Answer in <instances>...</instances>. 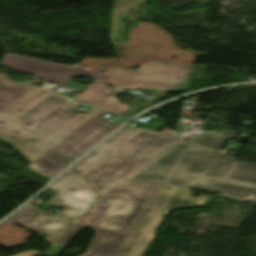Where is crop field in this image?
<instances>
[{
  "label": "crop field",
  "mask_w": 256,
  "mask_h": 256,
  "mask_svg": "<svg viewBox=\"0 0 256 256\" xmlns=\"http://www.w3.org/2000/svg\"><path fill=\"white\" fill-rule=\"evenodd\" d=\"M0 65L14 68L60 85L67 82L78 67L77 64L69 66L9 53H6Z\"/></svg>",
  "instance_id": "obj_10"
},
{
  "label": "crop field",
  "mask_w": 256,
  "mask_h": 256,
  "mask_svg": "<svg viewBox=\"0 0 256 256\" xmlns=\"http://www.w3.org/2000/svg\"><path fill=\"white\" fill-rule=\"evenodd\" d=\"M191 67V64L167 65L154 61L141 66L138 71L114 68L98 81L130 90L145 88L169 91L190 75Z\"/></svg>",
  "instance_id": "obj_7"
},
{
  "label": "crop field",
  "mask_w": 256,
  "mask_h": 256,
  "mask_svg": "<svg viewBox=\"0 0 256 256\" xmlns=\"http://www.w3.org/2000/svg\"><path fill=\"white\" fill-rule=\"evenodd\" d=\"M172 138L128 126L74 164L72 169L83 176L110 154L147 164L170 147Z\"/></svg>",
  "instance_id": "obj_4"
},
{
  "label": "crop field",
  "mask_w": 256,
  "mask_h": 256,
  "mask_svg": "<svg viewBox=\"0 0 256 256\" xmlns=\"http://www.w3.org/2000/svg\"><path fill=\"white\" fill-rule=\"evenodd\" d=\"M104 115L99 111L50 150L71 163L119 126L102 118Z\"/></svg>",
  "instance_id": "obj_8"
},
{
  "label": "crop field",
  "mask_w": 256,
  "mask_h": 256,
  "mask_svg": "<svg viewBox=\"0 0 256 256\" xmlns=\"http://www.w3.org/2000/svg\"><path fill=\"white\" fill-rule=\"evenodd\" d=\"M118 95L106 84L96 82L75 97V100L120 116L129 107L118 102L116 98Z\"/></svg>",
  "instance_id": "obj_12"
},
{
  "label": "crop field",
  "mask_w": 256,
  "mask_h": 256,
  "mask_svg": "<svg viewBox=\"0 0 256 256\" xmlns=\"http://www.w3.org/2000/svg\"><path fill=\"white\" fill-rule=\"evenodd\" d=\"M74 196H77V195L74 194ZM77 197H79V196H77Z\"/></svg>",
  "instance_id": "obj_19"
},
{
  "label": "crop field",
  "mask_w": 256,
  "mask_h": 256,
  "mask_svg": "<svg viewBox=\"0 0 256 256\" xmlns=\"http://www.w3.org/2000/svg\"><path fill=\"white\" fill-rule=\"evenodd\" d=\"M47 188L59 193L46 202V204L63 208L65 209L63 212L55 216L42 212L32 206H26L5 221L49 235L64 229L71 219L86 212L90 205L96 201L97 197L90 184L70 169L61 174ZM74 193L83 198L72 196Z\"/></svg>",
  "instance_id": "obj_3"
},
{
  "label": "crop field",
  "mask_w": 256,
  "mask_h": 256,
  "mask_svg": "<svg viewBox=\"0 0 256 256\" xmlns=\"http://www.w3.org/2000/svg\"><path fill=\"white\" fill-rule=\"evenodd\" d=\"M161 184L126 180L104 196L83 218L66 232L58 233L48 242L55 246L44 256H56L84 227L97 232L88 253L81 256H115L141 218Z\"/></svg>",
  "instance_id": "obj_2"
},
{
  "label": "crop field",
  "mask_w": 256,
  "mask_h": 256,
  "mask_svg": "<svg viewBox=\"0 0 256 256\" xmlns=\"http://www.w3.org/2000/svg\"><path fill=\"white\" fill-rule=\"evenodd\" d=\"M8 78L0 73V115L37 88L34 85L12 81Z\"/></svg>",
  "instance_id": "obj_13"
},
{
  "label": "crop field",
  "mask_w": 256,
  "mask_h": 256,
  "mask_svg": "<svg viewBox=\"0 0 256 256\" xmlns=\"http://www.w3.org/2000/svg\"><path fill=\"white\" fill-rule=\"evenodd\" d=\"M52 91H49L44 88H37L5 113H3L0 117L9 119L10 121L16 120L20 117L23 113L49 95Z\"/></svg>",
  "instance_id": "obj_14"
},
{
  "label": "crop field",
  "mask_w": 256,
  "mask_h": 256,
  "mask_svg": "<svg viewBox=\"0 0 256 256\" xmlns=\"http://www.w3.org/2000/svg\"><path fill=\"white\" fill-rule=\"evenodd\" d=\"M236 131H201L173 148L130 179L212 190L238 199L256 195V164L235 161L220 151Z\"/></svg>",
  "instance_id": "obj_1"
},
{
  "label": "crop field",
  "mask_w": 256,
  "mask_h": 256,
  "mask_svg": "<svg viewBox=\"0 0 256 256\" xmlns=\"http://www.w3.org/2000/svg\"><path fill=\"white\" fill-rule=\"evenodd\" d=\"M144 165L110 155L83 177L89 180L98 195L102 196L113 186L129 177Z\"/></svg>",
  "instance_id": "obj_9"
},
{
  "label": "crop field",
  "mask_w": 256,
  "mask_h": 256,
  "mask_svg": "<svg viewBox=\"0 0 256 256\" xmlns=\"http://www.w3.org/2000/svg\"><path fill=\"white\" fill-rule=\"evenodd\" d=\"M79 105L53 92L13 123L42 136L44 148L49 150L98 112L94 108L83 116L69 112Z\"/></svg>",
  "instance_id": "obj_5"
},
{
  "label": "crop field",
  "mask_w": 256,
  "mask_h": 256,
  "mask_svg": "<svg viewBox=\"0 0 256 256\" xmlns=\"http://www.w3.org/2000/svg\"><path fill=\"white\" fill-rule=\"evenodd\" d=\"M102 75H104V73L95 71L93 69H90L81 65H79L78 69L73 74V76H83V77H87L95 80L100 78Z\"/></svg>",
  "instance_id": "obj_16"
},
{
  "label": "crop field",
  "mask_w": 256,
  "mask_h": 256,
  "mask_svg": "<svg viewBox=\"0 0 256 256\" xmlns=\"http://www.w3.org/2000/svg\"><path fill=\"white\" fill-rule=\"evenodd\" d=\"M32 169V168H31ZM33 170V169H32ZM34 171V170H33Z\"/></svg>",
  "instance_id": "obj_20"
},
{
  "label": "crop field",
  "mask_w": 256,
  "mask_h": 256,
  "mask_svg": "<svg viewBox=\"0 0 256 256\" xmlns=\"http://www.w3.org/2000/svg\"><path fill=\"white\" fill-rule=\"evenodd\" d=\"M0 140L10 144L29 163L45 153L38 136L28 134L2 118H0Z\"/></svg>",
  "instance_id": "obj_11"
},
{
  "label": "crop field",
  "mask_w": 256,
  "mask_h": 256,
  "mask_svg": "<svg viewBox=\"0 0 256 256\" xmlns=\"http://www.w3.org/2000/svg\"><path fill=\"white\" fill-rule=\"evenodd\" d=\"M66 166L63 159L56 157L51 152H47L30 165L36 172L50 179Z\"/></svg>",
  "instance_id": "obj_15"
},
{
  "label": "crop field",
  "mask_w": 256,
  "mask_h": 256,
  "mask_svg": "<svg viewBox=\"0 0 256 256\" xmlns=\"http://www.w3.org/2000/svg\"><path fill=\"white\" fill-rule=\"evenodd\" d=\"M31 254H37V252L31 251V252L23 253V254L16 255V256H29V255H31Z\"/></svg>",
  "instance_id": "obj_18"
},
{
  "label": "crop field",
  "mask_w": 256,
  "mask_h": 256,
  "mask_svg": "<svg viewBox=\"0 0 256 256\" xmlns=\"http://www.w3.org/2000/svg\"><path fill=\"white\" fill-rule=\"evenodd\" d=\"M63 87H66V88H69V89H73V90H76V91H80V90H82L83 88H85L87 86L80 85V84H77V83H74V82L70 81L69 83H67Z\"/></svg>",
  "instance_id": "obj_17"
},
{
  "label": "crop field",
  "mask_w": 256,
  "mask_h": 256,
  "mask_svg": "<svg viewBox=\"0 0 256 256\" xmlns=\"http://www.w3.org/2000/svg\"><path fill=\"white\" fill-rule=\"evenodd\" d=\"M162 184L137 226L125 241L116 256H143L151 244L164 215L174 209L206 206L212 196L191 199L189 189ZM183 192H186L184 194ZM176 193V196L173 195Z\"/></svg>",
  "instance_id": "obj_6"
}]
</instances>
